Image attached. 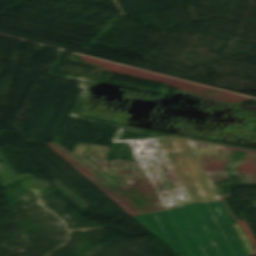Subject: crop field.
Segmentation results:
<instances>
[{"label":"crop field","instance_id":"obj_1","mask_svg":"<svg viewBox=\"0 0 256 256\" xmlns=\"http://www.w3.org/2000/svg\"><path fill=\"white\" fill-rule=\"evenodd\" d=\"M142 218L188 256H250L220 201L191 204Z\"/></svg>","mask_w":256,"mask_h":256},{"label":"crop field","instance_id":"obj_2","mask_svg":"<svg viewBox=\"0 0 256 256\" xmlns=\"http://www.w3.org/2000/svg\"><path fill=\"white\" fill-rule=\"evenodd\" d=\"M114 202L159 199L132 145H46Z\"/></svg>","mask_w":256,"mask_h":256},{"label":"crop field","instance_id":"obj_3","mask_svg":"<svg viewBox=\"0 0 256 256\" xmlns=\"http://www.w3.org/2000/svg\"><path fill=\"white\" fill-rule=\"evenodd\" d=\"M160 199L188 197L161 145H133Z\"/></svg>","mask_w":256,"mask_h":256},{"label":"crop field","instance_id":"obj_4","mask_svg":"<svg viewBox=\"0 0 256 256\" xmlns=\"http://www.w3.org/2000/svg\"><path fill=\"white\" fill-rule=\"evenodd\" d=\"M189 197L216 196L191 145H162ZM218 196V195H217Z\"/></svg>","mask_w":256,"mask_h":256},{"label":"crop field","instance_id":"obj_5","mask_svg":"<svg viewBox=\"0 0 256 256\" xmlns=\"http://www.w3.org/2000/svg\"><path fill=\"white\" fill-rule=\"evenodd\" d=\"M232 150L247 152L243 161L230 156ZM219 171L224 180L256 178V152L229 147L220 166Z\"/></svg>","mask_w":256,"mask_h":256},{"label":"crop field","instance_id":"obj_6","mask_svg":"<svg viewBox=\"0 0 256 256\" xmlns=\"http://www.w3.org/2000/svg\"><path fill=\"white\" fill-rule=\"evenodd\" d=\"M210 182L223 180L218 165L228 146L224 145H192Z\"/></svg>","mask_w":256,"mask_h":256},{"label":"crop field","instance_id":"obj_7","mask_svg":"<svg viewBox=\"0 0 256 256\" xmlns=\"http://www.w3.org/2000/svg\"><path fill=\"white\" fill-rule=\"evenodd\" d=\"M132 216L166 211L161 200L116 203Z\"/></svg>","mask_w":256,"mask_h":256},{"label":"crop field","instance_id":"obj_8","mask_svg":"<svg viewBox=\"0 0 256 256\" xmlns=\"http://www.w3.org/2000/svg\"><path fill=\"white\" fill-rule=\"evenodd\" d=\"M137 219L142 225H144L148 230H150L155 236H157L163 243H165L171 250H173L178 256H187L177 245H175L173 242H171L169 239H167L165 236L160 234L158 231H156L154 228H152L150 225L145 223L141 216L134 217Z\"/></svg>","mask_w":256,"mask_h":256},{"label":"crop field","instance_id":"obj_9","mask_svg":"<svg viewBox=\"0 0 256 256\" xmlns=\"http://www.w3.org/2000/svg\"><path fill=\"white\" fill-rule=\"evenodd\" d=\"M163 204L165 205L167 211L184 206L187 204H191V201L189 198H182V199H168V200H162Z\"/></svg>","mask_w":256,"mask_h":256},{"label":"crop field","instance_id":"obj_10","mask_svg":"<svg viewBox=\"0 0 256 256\" xmlns=\"http://www.w3.org/2000/svg\"><path fill=\"white\" fill-rule=\"evenodd\" d=\"M234 226H235L236 230L238 231L240 237L242 238L243 242L245 243L247 249L249 250L251 256H254L255 253H254V251H253V249H252V247H251V245H250V243H249L241 225L240 224H234Z\"/></svg>","mask_w":256,"mask_h":256},{"label":"crop field","instance_id":"obj_11","mask_svg":"<svg viewBox=\"0 0 256 256\" xmlns=\"http://www.w3.org/2000/svg\"><path fill=\"white\" fill-rule=\"evenodd\" d=\"M159 141L161 144H189L188 140L176 137L162 138Z\"/></svg>","mask_w":256,"mask_h":256},{"label":"crop field","instance_id":"obj_12","mask_svg":"<svg viewBox=\"0 0 256 256\" xmlns=\"http://www.w3.org/2000/svg\"><path fill=\"white\" fill-rule=\"evenodd\" d=\"M84 143L102 144V145H111V144H131L129 140L97 141V142H84Z\"/></svg>","mask_w":256,"mask_h":256},{"label":"crop field","instance_id":"obj_13","mask_svg":"<svg viewBox=\"0 0 256 256\" xmlns=\"http://www.w3.org/2000/svg\"><path fill=\"white\" fill-rule=\"evenodd\" d=\"M132 144H159L157 138L130 140Z\"/></svg>","mask_w":256,"mask_h":256},{"label":"crop field","instance_id":"obj_14","mask_svg":"<svg viewBox=\"0 0 256 256\" xmlns=\"http://www.w3.org/2000/svg\"><path fill=\"white\" fill-rule=\"evenodd\" d=\"M193 203L219 200L218 197L191 198Z\"/></svg>","mask_w":256,"mask_h":256},{"label":"crop field","instance_id":"obj_15","mask_svg":"<svg viewBox=\"0 0 256 256\" xmlns=\"http://www.w3.org/2000/svg\"><path fill=\"white\" fill-rule=\"evenodd\" d=\"M189 142H190V144H208V143H202V142H196V141H190V140H189Z\"/></svg>","mask_w":256,"mask_h":256}]
</instances>
